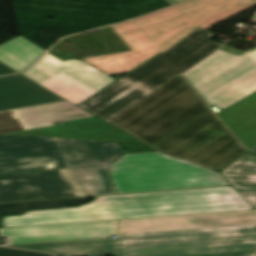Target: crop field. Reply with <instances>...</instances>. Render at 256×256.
<instances>
[{
  "instance_id": "15",
  "label": "crop field",
  "mask_w": 256,
  "mask_h": 256,
  "mask_svg": "<svg viewBox=\"0 0 256 256\" xmlns=\"http://www.w3.org/2000/svg\"><path fill=\"white\" fill-rule=\"evenodd\" d=\"M44 51L21 36L0 46V62L19 72Z\"/></svg>"
},
{
  "instance_id": "25",
  "label": "crop field",
  "mask_w": 256,
  "mask_h": 256,
  "mask_svg": "<svg viewBox=\"0 0 256 256\" xmlns=\"http://www.w3.org/2000/svg\"><path fill=\"white\" fill-rule=\"evenodd\" d=\"M255 19H256V17H255Z\"/></svg>"
},
{
  "instance_id": "20",
  "label": "crop field",
  "mask_w": 256,
  "mask_h": 256,
  "mask_svg": "<svg viewBox=\"0 0 256 256\" xmlns=\"http://www.w3.org/2000/svg\"><path fill=\"white\" fill-rule=\"evenodd\" d=\"M15 73V71L0 63V75Z\"/></svg>"
},
{
  "instance_id": "4",
  "label": "crop field",
  "mask_w": 256,
  "mask_h": 256,
  "mask_svg": "<svg viewBox=\"0 0 256 256\" xmlns=\"http://www.w3.org/2000/svg\"><path fill=\"white\" fill-rule=\"evenodd\" d=\"M256 5V0H195L111 28L131 51L83 59L106 75L130 72L188 36Z\"/></svg>"
},
{
  "instance_id": "17",
  "label": "crop field",
  "mask_w": 256,
  "mask_h": 256,
  "mask_svg": "<svg viewBox=\"0 0 256 256\" xmlns=\"http://www.w3.org/2000/svg\"><path fill=\"white\" fill-rule=\"evenodd\" d=\"M86 198L39 201L30 203L0 205V221L5 215L22 214L27 210L77 206L86 203Z\"/></svg>"
},
{
  "instance_id": "21",
  "label": "crop field",
  "mask_w": 256,
  "mask_h": 256,
  "mask_svg": "<svg viewBox=\"0 0 256 256\" xmlns=\"http://www.w3.org/2000/svg\"><path fill=\"white\" fill-rule=\"evenodd\" d=\"M253 252L248 253H234V254H219V255H204V256H249Z\"/></svg>"
},
{
  "instance_id": "5",
  "label": "crop field",
  "mask_w": 256,
  "mask_h": 256,
  "mask_svg": "<svg viewBox=\"0 0 256 256\" xmlns=\"http://www.w3.org/2000/svg\"><path fill=\"white\" fill-rule=\"evenodd\" d=\"M123 153L116 142L0 135V174L108 166Z\"/></svg>"
},
{
  "instance_id": "19",
  "label": "crop field",
  "mask_w": 256,
  "mask_h": 256,
  "mask_svg": "<svg viewBox=\"0 0 256 256\" xmlns=\"http://www.w3.org/2000/svg\"><path fill=\"white\" fill-rule=\"evenodd\" d=\"M245 201L252 206L254 209L256 208V193L255 192H242L237 191Z\"/></svg>"
},
{
  "instance_id": "6",
  "label": "crop field",
  "mask_w": 256,
  "mask_h": 256,
  "mask_svg": "<svg viewBox=\"0 0 256 256\" xmlns=\"http://www.w3.org/2000/svg\"><path fill=\"white\" fill-rule=\"evenodd\" d=\"M110 169L117 193L229 185L218 172L160 152L124 155Z\"/></svg>"
},
{
  "instance_id": "11",
  "label": "crop field",
  "mask_w": 256,
  "mask_h": 256,
  "mask_svg": "<svg viewBox=\"0 0 256 256\" xmlns=\"http://www.w3.org/2000/svg\"><path fill=\"white\" fill-rule=\"evenodd\" d=\"M21 74L75 105L116 81L83 61L48 52Z\"/></svg>"
},
{
  "instance_id": "14",
  "label": "crop field",
  "mask_w": 256,
  "mask_h": 256,
  "mask_svg": "<svg viewBox=\"0 0 256 256\" xmlns=\"http://www.w3.org/2000/svg\"><path fill=\"white\" fill-rule=\"evenodd\" d=\"M7 247L50 252L60 256L114 255L115 240L99 239L75 242L13 245Z\"/></svg>"
},
{
  "instance_id": "7",
  "label": "crop field",
  "mask_w": 256,
  "mask_h": 256,
  "mask_svg": "<svg viewBox=\"0 0 256 256\" xmlns=\"http://www.w3.org/2000/svg\"><path fill=\"white\" fill-rule=\"evenodd\" d=\"M2 133L141 144L67 101L0 112Z\"/></svg>"
},
{
  "instance_id": "10",
  "label": "crop field",
  "mask_w": 256,
  "mask_h": 256,
  "mask_svg": "<svg viewBox=\"0 0 256 256\" xmlns=\"http://www.w3.org/2000/svg\"><path fill=\"white\" fill-rule=\"evenodd\" d=\"M235 138L210 110L153 149L220 171L247 151Z\"/></svg>"
},
{
  "instance_id": "18",
  "label": "crop field",
  "mask_w": 256,
  "mask_h": 256,
  "mask_svg": "<svg viewBox=\"0 0 256 256\" xmlns=\"http://www.w3.org/2000/svg\"><path fill=\"white\" fill-rule=\"evenodd\" d=\"M0 256H53L50 254L0 248Z\"/></svg>"
},
{
  "instance_id": "1",
  "label": "crop field",
  "mask_w": 256,
  "mask_h": 256,
  "mask_svg": "<svg viewBox=\"0 0 256 256\" xmlns=\"http://www.w3.org/2000/svg\"><path fill=\"white\" fill-rule=\"evenodd\" d=\"M196 30L77 105L152 147L209 109L179 76L222 45Z\"/></svg>"
},
{
  "instance_id": "12",
  "label": "crop field",
  "mask_w": 256,
  "mask_h": 256,
  "mask_svg": "<svg viewBox=\"0 0 256 256\" xmlns=\"http://www.w3.org/2000/svg\"><path fill=\"white\" fill-rule=\"evenodd\" d=\"M117 220L55 224L0 229V235L10 237L8 244L64 241L106 237L116 234Z\"/></svg>"
},
{
  "instance_id": "8",
  "label": "crop field",
  "mask_w": 256,
  "mask_h": 256,
  "mask_svg": "<svg viewBox=\"0 0 256 256\" xmlns=\"http://www.w3.org/2000/svg\"><path fill=\"white\" fill-rule=\"evenodd\" d=\"M114 193L107 167L0 175V203Z\"/></svg>"
},
{
  "instance_id": "23",
  "label": "crop field",
  "mask_w": 256,
  "mask_h": 256,
  "mask_svg": "<svg viewBox=\"0 0 256 256\" xmlns=\"http://www.w3.org/2000/svg\"><path fill=\"white\" fill-rule=\"evenodd\" d=\"M250 256H256V252L255 253H253L252 255H250Z\"/></svg>"
},
{
  "instance_id": "9",
  "label": "crop field",
  "mask_w": 256,
  "mask_h": 256,
  "mask_svg": "<svg viewBox=\"0 0 256 256\" xmlns=\"http://www.w3.org/2000/svg\"><path fill=\"white\" fill-rule=\"evenodd\" d=\"M183 75L210 106L224 110L256 92V48L224 46Z\"/></svg>"
},
{
  "instance_id": "16",
  "label": "crop field",
  "mask_w": 256,
  "mask_h": 256,
  "mask_svg": "<svg viewBox=\"0 0 256 256\" xmlns=\"http://www.w3.org/2000/svg\"><path fill=\"white\" fill-rule=\"evenodd\" d=\"M221 173L236 189L256 190V153H246Z\"/></svg>"
},
{
  "instance_id": "22",
  "label": "crop field",
  "mask_w": 256,
  "mask_h": 256,
  "mask_svg": "<svg viewBox=\"0 0 256 256\" xmlns=\"http://www.w3.org/2000/svg\"><path fill=\"white\" fill-rule=\"evenodd\" d=\"M168 2L172 3V4H176L185 0H167Z\"/></svg>"
},
{
  "instance_id": "3",
  "label": "crop field",
  "mask_w": 256,
  "mask_h": 256,
  "mask_svg": "<svg viewBox=\"0 0 256 256\" xmlns=\"http://www.w3.org/2000/svg\"><path fill=\"white\" fill-rule=\"evenodd\" d=\"M252 209L230 186L159 191L98 196L75 208L8 216L3 218L2 228Z\"/></svg>"
},
{
  "instance_id": "13",
  "label": "crop field",
  "mask_w": 256,
  "mask_h": 256,
  "mask_svg": "<svg viewBox=\"0 0 256 256\" xmlns=\"http://www.w3.org/2000/svg\"><path fill=\"white\" fill-rule=\"evenodd\" d=\"M59 101L64 99L20 74L0 78V111Z\"/></svg>"
},
{
  "instance_id": "2",
  "label": "crop field",
  "mask_w": 256,
  "mask_h": 256,
  "mask_svg": "<svg viewBox=\"0 0 256 256\" xmlns=\"http://www.w3.org/2000/svg\"><path fill=\"white\" fill-rule=\"evenodd\" d=\"M256 251V210L118 220L115 256Z\"/></svg>"
},
{
  "instance_id": "24",
  "label": "crop field",
  "mask_w": 256,
  "mask_h": 256,
  "mask_svg": "<svg viewBox=\"0 0 256 256\" xmlns=\"http://www.w3.org/2000/svg\"><path fill=\"white\" fill-rule=\"evenodd\" d=\"M252 150H255V151H256V147H255L254 149H252Z\"/></svg>"
}]
</instances>
